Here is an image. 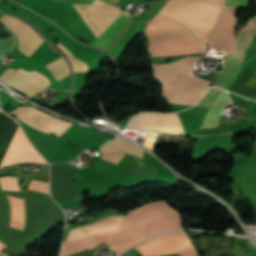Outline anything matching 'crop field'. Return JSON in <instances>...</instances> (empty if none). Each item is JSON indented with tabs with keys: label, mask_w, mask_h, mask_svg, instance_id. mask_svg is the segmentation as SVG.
Returning a JSON list of instances; mask_svg holds the SVG:
<instances>
[{
	"label": "crop field",
	"mask_w": 256,
	"mask_h": 256,
	"mask_svg": "<svg viewBox=\"0 0 256 256\" xmlns=\"http://www.w3.org/2000/svg\"><path fill=\"white\" fill-rule=\"evenodd\" d=\"M221 91L222 89L219 88L209 89V91L205 94V96L200 100V102L196 106L210 107L212 102L215 100V98Z\"/></svg>",
	"instance_id": "20"
},
{
	"label": "crop field",
	"mask_w": 256,
	"mask_h": 256,
	"mask_svg": "<svg viewBox=\"0 0 256 256\" xmlns=\"http://www.w3.org/2000/svg\"><path fill=\"white\" fill-rule=\"evenodd\" d=\"M10 114L18 117L26 124L49 134L60 136L71 125V123L51 117L33 107H18Z\"/></svg>",
	"instance_id": "9"
},
{
	"label": "crop field",
	"mask_w": 256,
	"mask_h": 256,
	"mask_svg": "<svg viewBox=\"0 0 256 256\" xmlns=\"http://www.w3.org/2000/svg\"><path fill=\"white\" fill-rule=\"evenodd\" d=\"M15 69H7L6 72H4L1 76L0 79H2L4 82H6L15 72Z\"/></svg>",
	"instance_id": "26"
},
{
	"label": "crop field",
	"mask_w": 256,
	"mask_h": 256,
	"mask_svg": "<svg viewBox=\"0 0 256 256\" xmlns=\"http://www.w3.org/2000/svg\"><path fill=\"white\" fill-rule=\"evenodd\" d=\"M255 247L248 240L237 239L235 243L234 255L249 254Z\"/></svg>",
	"instance_id": "21"
},
{
	"label": "crop field",
	"mask_w": 256,
	"mask_h": 256,
	"mask_svg": "<svg viewBox=\"0 0 256 256\" xmlns=\"http://www.w3.org/2000/svg\"><path fill=\"white\" fill-rule=\"evenodd\" d=\"M249 0H225L224 5L236 7V8H246Z\"/></svg>",
	"instance_id": "24"
},
{
	"label": "crop field",
	"mask_w": 256,
	"mask_h": 256,
	"mask_svg": "<svg viewBox=\"0 0 256 256\" xmlns=\"http://www.w3.org/2000/svg\"><path fill=\"white\" fill-rule=\"evenodd\" d=\"M0 21L12 30L18 38V50L27 56L44 41L31 27L11 16L3 15Z\"/></svg>",
	"instance_id": "11"
},
{
	"label": "crop field",
	"mask_w": 256,
	"mask_h": 256,
	"mask_svg": "<svg viewBox=\"0 0 256 256\" xmlns=\"http://www.w3.org/2000/svg\"><path fill=\"white\" fill-rule=\"evenodd\" d=\"M45 66L51 72L56 81L70 75L68 64L62 57Z\"/></svg>",
	"instance_id": "18"
},
{
	"label": "crop field",
	"mask_w": 256,
	"mask_h": 256,
	"mask_svg": "<svg viewBox=\"0 0 256 256\" xmlns=\"http://www.w3.org/2000/svg\"><path fill=\"white\" fill-rule=\"evenodd\" d=\"M59 1L67 2V3H78V4H92L93 2V0H59ZM59 1L24 0L22 4L55 21L56 18L64 12L65 8L68 5L67 3H63Z\"/></svg>",
	"instance_id": "13"
},
{
	"label": "crop field",
	"mask_w": 256,
	"mask_h": 256,
	"mask_svg": "<svg viewBox=\"0 0 256 256\" xmlns=\"http://www.w3.org/2000/svg\"><path fill=\"white\" fill-rule=\"evenodd\" d=\"M101 153H107V152H122L134 155L136 157H139L142 159L144 151L129 144L126 143L120 139L111 141L103 145L100 149Z\"/></svg>",
	"instance_id": "17"
},
{
	"label": "crop field",
	"mask_w": 256,
	"mask_h": 256,
	"mask_svg": "<svg viewBox=\"0 0 256 256\" xmlns=\"http://www.w3.org/2000/svg\"><path fill=\"white\" fill-rule=\"evenodd\" d=\"M151 56H174L205 52L206 43L185 27L162 16H155L147 28Z\"/></svg>",
	"instance_id": "3"
},
{
	"label": "crop field",
	"mask_w": 256,
	"mask_h": 256,
	"mask_svg": "<svg viewBox=\"0 0 256 256\" xmlns=\"http://www.w3.org/2000/svg\"><path fill=\"white\" fill-rule=\"evenodd\" d=\"M232 104L228 98L227 92L224 90L219 94L217 99L209 108L208 112L206 113L204 120L202 122L201 127L199 128H207V127H216L219 119H220V111L226 105Z\"/></svg>",
	"instance_id": "14"
},
{
	"label": "crop field",
	"mask_w": 256,
	"mask_h": 256,
	"mask_svg": "<svg viewBox=\"0 0 256 256\" xmlns=\"http://www.w3.org/2000/svg\"><path fill=\"white\" fill-rule=\"evenodd\" d=\"M0 185L2 189L6 190H20L16 177H2L0 178Z\"/></svg>",
	"instance_id": "22"
},
{
	"label": "crop field",
	"mask_w": 256,
	"mask_h": 256,
	"mask_svg": "<svg viewBox=\"0 0 256 256\" xmlns=\"http://www.w3.org/2000/svg\"><path fill=\"white\" fill-rule=\"evenodd\" d=\"M124 216L111 215L100 218L86 226L78 229L71 230L68 239H76L92 233L119 227ZM116 229L89 235L69 242H63L60 256H69L85 249H93L101 244H108L111 236L115 233ZM72 256H85L82 252Z\"/></svg>",
	"instance_id": "5"
},
{
	"label": "crop field",
	"mask_w": 256,
	"mask_h": 256,
	"mask_svg": "<svg viewBox=\"0 0 256 256\" xmlns=\"http://www.w3.org/2000/svg\"><path fill=\"white\" fill-rule=\"evenodd\" d=\"M124 154H102L101 159L117 164Z\"/></svg>",
	"instance_id": "25"
},
{
	"label": "crop field",
	"mask_w": 256,
	"mask_h": 256,
	"mask_svg": "<svg viewBox=\"0 0 256 256\" xmlns=\"http://www.w3.org/2000/svg\"><path fill=\"white\" fill-rule=\"evenodd\" d=\"M182 228L180 214L164 200L132 210L122 222L109 247L119 254L138 241Z\"/></svg>",
	"instance_id": "1"
},
{
	"label": "crop field",
	"mask_w": 256,
	"mask_h": 256,
	"mask_svg": "<svg viewBox=\"0 0 256 256\" xmlns=\"http://www.w3.org/2000/svg\"><path fill=\"white\" fill-rule=\"evenodd\" d=\"M133 248L139 250L143 256H165L167 254L197 255L191 240L184 231L165 234Z\"/></svg>",
	"instance_id": "6"
},
{
	"label": "crop field",
	"mask_w": 256,
	"mask_h": 256,
	"mask_svg": "<svg viewBox=\"0 0 256 256\" xmlns=\"http://www.w3.org/2000/svg\"><path fill=\"white\" fill-rule=\"evenodd\" d=\"M235 10L224 6L215 26L208 33L206 39L212 44L213 49L231 53L235 41L232 33L236 23Z\"/></svg>",
	"instance_id": "8"
},
{
	"label": "crop field",
	"mask_w": 256,
	"mask_h": 256,
	"mask_svg": "<svg viewBox=\"0 0 256 256\" xmlns=\"http://www.w3.org/2000/svg\"><path fill=\"white\" fill-rule=\"evenodd\" d=\"M7 84L32 95L49 86L50 81L44 75L36 71L27 72L19 68Z\"/></svg>",
	"instance_id": "12"
},
{
	"label": "crop field",
	"mask_w": 256,
	"mask_h": 256,
	"mask_svg": "<svg viewBox=\"0 0 256 256\" xmlns=\"http://www.w3.org/2000/svg\"><path fill=\"white\" fill-rule=\"evenodd\" d=\"M194 60L198 61L200 58H186L175 63L154 66V76L164 85L165 100L192 105L212 84L192 74Z\"/></svg>",
	"instance_id": "2"
},
{
	"label": "crop field",
	"mask_w": 256,
	"mask_h": 256,
	"mask_svg": "<svg viewBox=\"0 0 256 256\" xmlns=\"http://www.w3.org/2000/svg\"><path fill=\"white\" fill-rule=\"evenodd\" d=\"M58 48L61 49L68 57V59L70 60L74 71H88V67L87 65L81 61L76 59L69 51L67 48H65L63 45L58 44Z\"/></svg>",
	"instance_id": "19"
},
{
	"label": "crop field",
	"mask_w": 256,
	"mask_h": 256,
	"mask_svg": "<svg viewBox=\"0 0 256 256\" xmlns=\"http://www.w3.org/2000/svg\"><path fill=\"white\" fill-rule=\"evenodd\" d=\"M196 1H201L204 3H208V4L219 6V7H222L223 5V0H196Z\"/></svg>",
	"instance_id": "27"
},
{
	"label": "crop field",
	"mask_w": 256,
	"mask_h": 256,
	"mask_svg": "<svg viewBox=\"0 0 256 256\" xmlns=\"http://www.w3.org/2000/svg\"><path fill=\"white\" fill-rule=\"evenodd\" d=\"M20 162H40L45 163L42 156L36 152L30 142L24 136L21 128L18 126L11 144L0 164L8 165Z\"/></svg>",
	"instance_id": "10"
},
{
	"label": "crop field",
	"mask_w": 256,
	"mask_h": 256,
	"mask_svg": "<svg viewBox=\"0 0 256 256\" xmlns=\"http://www.w3.org/2000/svg\"><path fill=\"white\" fill-rule=\"evenodd\" d=\"M29 189L36 190V191H41V192H44V193H49L48 192V183H46V182H41V181L34 180L33 183H31Z\"/></svg>",
	"instance_id": "23"
},
{
	"label": "crop field",
	"mask_w": 256,
	"mask_h": 256,
	"mask_svg": "<svg viewBox=\"0 0 256 256\" xmlns=\"http://www.w3.org/2000/svg\"><path fill=\"white\" fill-rule=\"evenodd\" d=\"M125 15V14H122ZM118 17L102 34L101 36L93 42V45L106 49L107 45L114 38V36L119 32V30L128 21L129 17L125 16Z\"/></svg>",
	"instance_id": "16"
},
{
	"label": "crop field",
	"mask_w": 256,
	"mask_h": 256,
	"mask_svg": "<svg viewBox=\"0 0 256 256\" xmlns=\"http://www.w3.org/2000/svg\"><path fill=\"white\" fill-rule=\"evenodd\" d=\"M89 6L106 28L121 14L120 9L99 0H94Z\"/></svg>",
	"instance_id": "15"
},
{
	"label": "crop field",
	"mask_w": 256,
	"mask_h": 256,
	"mask_svg": "<svg viewBox=\"0 0 256 256\" xmlns=\"http://www.w3.org/2000/svg\"><path fill=\"white\" fill-rule=\"evenodd\" d=\"M255 33L256 16L251 18L248 22V25L241 30L236 45L234 47L233 54L227 53L225 69L216 74L215 85L222 88L227 86L228 82L232 79L237 69L239 68Z\"/></svg>",
	"instance_id": "7"
},
{
	"label": "crop field",
	"mask_w": 256,
	"mask_h": 256,
	"mask_svg": "<svg viewBox=\"0 0 256 256\" xmlns=\"http://www.w3.org/2000/svg\"><path fill=\"white\" fill-rule=\"evenodd\" d=\"M219 11V7L189 0H169L159 14L178 21L186 26L196 38L206 41L204 35L210 30Z\"/></svg>",
	"instance_id": "4"
}]
</instances>
